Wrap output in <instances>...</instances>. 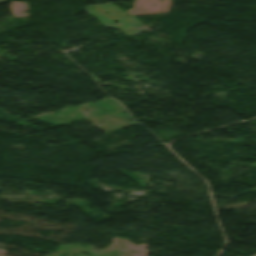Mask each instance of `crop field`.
Returning a JSON list of instances; mask_svg holds the SVG:
<instances>
[{
    "label": "crop field",
    "mask_w": 256,
    "mask_h": 256,
    "mask_svg": "<svg viewBox=\"0 0 256 256\" xmlns=\"http://www.w3.org/2000/svg\"><path fill=\"white\" fill-rule=\"evenodd\" d=\"M8 0H0V3L7 2Z\"/></svg>",
    "instance_id": "obj_1"
},
{
    "label": "crop field",
    "mask_w": 256,
    "mask_h": 256,
    "mask_svg": "<svg viewBox=\"0 0 256 256\" xmlns=\"http://www.w3.org/2000/svg\"><path fill=\"white\" fill-rule=\"evenodd\" d=\"M253 256H256V255H253Z\"/></svg>",
    "instance_id": "obj_2"
}]
</instances>
